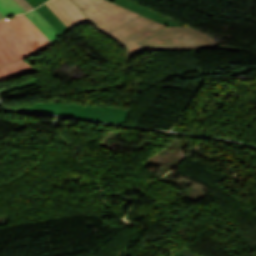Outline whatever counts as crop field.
I'll return each instance as SVG.
<instances>
[{"instance_id":"5a996713","label":"crop field","mask_w":256,"mask_h":256,"mask_svg":"<svg viewBox=\"0 0 256 256\" xmlns=\"http://www.w3.org/2000/svg\"><path fill=\"white\" fill-rule=\"evenodd\" d=\"M36 10L62 35L69 31V29L57 18V16L45 4Z\"/></svg>"},{"instance_id":"f4fd0767","label":"crop field","mask_w":256,"mask_h":256,"mask_svg":"<svg viewBox=\"0 0 256 256\" xmlns=\"http://www.w3.org/2000/svg\"><path fill=\"white\" fill-rule=\"evenodd\" d=\"M45 4L69 29L88 21L87 17L70 0H50Z\"/></svg>"},{"instance_id":"28ad6ade","label":"crop field","mask_w":256,"mask_h":256,"mask_svg":"<svg viewBox=\"0 0 256 256\" xmlns=\"http://www.w3.org/2000/svg\"><path fill=\"white\" fill-rule=\"evenodd\" d=\"M38 82H41L39 77L31 79V80H28V81H25V82H22L20 84H17V85L8 87V88H5V89H2V90H0V94L7 93L9 91H12V90H15V89H19V88L25 87L27 85L35 84V83H38Z\"/></svg>"},{"instance_id":"d8731c3e","label":"crop field","mask_w":256,"mask_h":256,"mask_svg":"<svg viewBox=\"0 0 256 256\" xmlns=\"http://www.w3.org/2000/svg\"><path fill=\"white\" fill-rule=\"evenodd\" d=\"M53 44L61 36L36 10L24 14Z\"/></svg>"},{"instance_id":"3316defc","label":"crop field","mask_w":256,"mask_h":256,"mask_svg":"<svg viewBox=\"0 0 256 256\" xmlns=\"http://www.w3.org/2000/svg\"><path fill=\"white\" fill-rule=\"evenodd\" d=\"M0 11L6 16L26 12L15 0H0Z\"/></svg>"},{"instance_id":"ac0d7876","label":"crop field","mask_w":256,"mask_h":256,"mask_svg":"<svg viewBox=\"0 0 256 256\" xmlns=\"http://www.w3.org/2000/svg\"><path fill=\"white\" fill-rule=\"evenodd\" d=\"M52 45L23 14L0 21V66L44 51Z\"/></svg>"},{"instance_id":"5142ce71","label":"crop field","mask_w":256,"mask_h":256,"mask_svg":"<svg viewBox=\"0 0 256 256\" xmlns=\"http://www.w3.org/2000/svg\"><path fill=\"white\" fill-rule=\"evenodd\" d=\"M175 255L176 256H186L182 252H180L179 250L175 251Z\"/></svg>"},{"instance_id":"d9b57169","label":"crop field","mask_w":256,"mask_h":256,"mask_svg":"<svg viewBox=\"0 0 256 256\" xmlns=\"http://www.w3.org/2000/svg\"><path fill=\"white\" fill-rule=\"evenodd\" d=\"M5 18V16L0 12V20Z\"/></svg>"},{"instance_id":"34b2d1b8","label":"crop field","mask_w":256,"mask_h":256,"mask_svg":"<svg viewBox=\"0 0 256 256\" xmlns=\"http://www.w3.org/2000/svg\"><path fill=\"white\" fill-rule=\"evenodd\" d=\"M103 34L133 21L140 14L107 0H73Z\"/></svg>"},{"instance_id":"d1516ede","label":"crop field","mask_w":256,"mask_h":256,"mask_svg":"<svg viewBox=\"0 0 256 256\" xmlns=\"http://www.w3.org/2000/svg\"><path fill=\"white\" fill-rule=\"evenodd\" d=\"M21 6H23L27 11L33 9V7L26 0H16ZM22 7V8H23ZM23 8V9H24Z\"/></svg>"},{"instance_id":"22f410ed","label":"crop field","mask_w":256,"mask_h":256,"mask_svg":"<svg viewBox=\"0 0 256 256\" xmlns=\"http://www.w3.org/2000/svg\"><path fill=\"white\" fill-rule=\"evenodd\" d=\"M34 8L38 7L41 5L43 2L46 0H27Z\"/></svg>"},{"instance_id":"e52e79f7","label":"crop field","mask_w":256,"mask_h":256,"mask_svg":"<svg viewBox=\"0 0 256 256\" xmlns=\"http://www.w3.org/2000/svg\"><path fill=\"white\" fill-rule=\"evenodd\" d=\"M39 71L32 65L21 60L3 67H0V82L13 79L19 76L31 74Z\"/></svg>"},{"instance_id":"412701ff","label":"crop field","mask_w":256,"mask_h":256,"mask_svg":"<svg viewBox=\"0 0 256 256\" xmlns=\"http://www.w3.org/2000/svg\"><path fill=\"white\" fill-rule=\"evenodd\" d=\"M17 109L120 124L124 123L129 112L127 109L97 107L70 103H36L27 108L19 107Z\"/></svg>"},{"instance_id":"dd49c442","label":"crop field","mask_w":256,"mask_h":256,"mask_svg":"<svg viewBox=\"0 0 256 256\" xmlns=\"http://www.w3.org/2000/svg\"><path fill=\"white\" fill-rule=\"evenodd\" d=\"M111 2H115L119 5H122L126 8H129L133 11H136L150 19L156 20L158 22H161L167 26H182L183 24L180 22H177L173 19H170L148 7H145L137 2L131 1V0H109Z\"/></svg>"},{"instance_id":"733c2abd","label":"crop field","mask_w":256,"mask_h":256,"mask_svg":"<svg viewBox=\"0 0 256 256\" xmlns=\"http://www.w3.org/2000/svg\"><path fill=\"white\" fill-rule=\"evenodd\" d=\"M0 106H1V104H0Z\"/></svg>"},{"instance_id":"8a807250","label":"crop field","mask_w":256,"mask_h":256,"mask_svg":"<svg viewBox=\"0 0 256 256\" xmlns=\"http://www.w3.org/2000/svg\"><path fill=\"white\" fill-rule=\"evenodd\" d=\"M107 36L126 50V58L150 50H189L217 46L185 27H166L142 15Z\"/></svg>"},{"instance_id":"cbeb9de0","label":"crop field","mask_w":256,"mask_h":256,"mask_svg":"<svg viewBox=\"0 0 256 256\" xmlns=\"http://www.w3.org/2000/svg\"><path fill=\"white\" fill-rule=\"evenodd\" d=\"M180 251H182V252H183L184 254H186L187 256H199V255L193 253L192 251H190V250H188V249H186V248H182V249H180Z\"/></svg>"}]
</instances>
